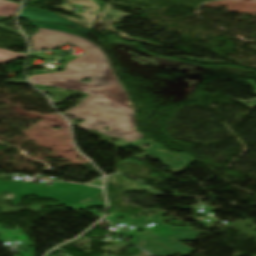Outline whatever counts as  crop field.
Listing matches in <instances>:
<instances>
[{
  "label": "crop field",
  "mask_w": 256,
  "mask_h": 256,
  "mask_svg": "<svg viewBox=\"0 0 256 256\" xmlns=\"http://www.w3.org/2000/svg\"><path fill=\"white\" fill-rule=\"evenodd\" d=\"M31 56L37 57V58H41L44 60H48V59H53L55 57H52L46 53H31Z\"/></svg>",
  "instance_id": "d1516ede"
},
{
  "label": "crop field",
  "mask_w": 256,
  "mask_h": 256,
  "mask_svg": "<svg viewBox=\"0 0 256 256\" xmlns=\"http://www.w3.org/2000/svg\"><path fill=\"white\" fill-rule=\"evenodd\" d=\"M30 23L39 29V32L31 37L34 51H41L43 48L52 50L68 42L88 52L79 58L71 56L61 59L67 62L66 67L62 68L63 72H34V76L29 78L32 84L89 94L79 106L65 114L86 120L77 125L83 129H96L102 134L121 138L115 143H110L118 148L144 137L135 131V114L127 91L125 92L116 78L106 54L93 40L90 31L34 21ZM87 78H90L91 82H80L81 79ZM104 127L110 128L111 131L103 130Z\"/></svg>",
  "instance_id": "8a807250"
},
{
  "label": "crop field",
  "mask_w": 256,
  "mask_h": 256,
  "mask_svg": "<svg viewBox=\"0 0 256 256\" xmlns=\"http://www.w3.org/2000/svg\"><path fill=\"white\" fill-rule=\"evenodd\" d=\"M239 80H243V81H245L244 79H239ZM245 82H246L247 84L252 85V86H253V88H254V89H255V91H256V84H255V82H254V81H252V80H248V81H245ZM255 94H256V92H255ZM235 100H237V101H239V102H241V103H243V104H245V105H247V106H249V107H251V108L256 107V99L249 100V101L238 100V99H235ZM247 102H249V104H247Z\"/></svg>",
  "instance_id": "28ad6ade"
},
{
  "label": "crop field",
  "mask_w": 256,
  "mask_h": 256,
  "mask_svg": "<svg viewBox=\"0 0 256 256\" xmlns=\"http://www.w3.org/2000/svg\"><path fill=\"white\" fill-rule=\"evenodd\" d=\"M13 192L15 199L13 206H18L21 199L28 195H35L39 198L56 199L66 207L71 206L101 190L91 186L54 183L50 188L37 186L31 183H21L16 180L7 181L6 185L0 190Z\"/></svg>",
  "instance_id": "ac0d7876"
},
{
  "label": "crop field",
  "mask_w": 256,
  "mask_h": 256,
  "mask_svg": "<svg viewBox=\"0 0 256 256\" xmlns=\"http://www.w3.org/2000/svg\"><path fill=\"white\" fill-rule=\"evenodd\" d=\"M148 144H152V145L145 149L144 146ZM131 147L138 148L142 151L147 152L146 154L136 155L133 157L143 160L147 155L155 156L159 161L164 163L171 170L177 171V172L185 170L188 166H190L192 163L195 162L186 156L170 154L169 152L158 147L156 144H154L148 139L136 145H133ZM178 160H181V162H178Z\"/></svg>",
  "instance_id": "34b2d1b8"
},
{
  "label": "crop field",
  "mask_w": 256,
  "mask_h": 256,
  "mask_svg": "<svg viewBox=\"0 0 256 256\" xmlns=\"http://www.w3.org/2000/svg\"><path fill=\"white\" fill-rule=\"evenodd\" d=\"M19 4L0 0V16H15Z\"/></svg>",
  "instance_id": "e52e79f7"
},
{
  "label": "crop field",
  "mask_w": 256,
  "mask_h": 256,
  "mask_svg": "<svg viewBox=\"0 0 256 256\" xmlns=\"http://www.w3.org/2000/svg\"><path fill=\"white\" fill-rule=\"evenodd\" d=\"M20 57H26V54L13 53L9 51L0 50V64L5 63Z\"/></svg>",
  "instance_id": "5a996713"
},
{
  "label": "crop field",
  "mask_w": 256,
  "mask_h": 256,
  "mask_svg": "<svg viewBox=\"0 0 256 256\" xmlns=\"http://www.w3.org/2000/svg\"><path fill=\"white\" fill-rule=\"evenodd\" d=\"M20 17L78 27L77 25H75L67 20L62 19V18L52 14L49 11L35 10L32 8H28V7L24 8Z\"/></svg>",
  "instance_id": "f4fd0767"
},
{
  "label": "crop field",
  "mask_w": 256,
  "mask_h": 256,
  "mask_svg": "<svg viewBox=\"0 0 256 256\" xmlns=\"http://www.w3.org/2000/svg\"><path fill=\"white\" fill-rule=\"evenodd\" d=\"M6 181H0V189L5 185Z\"/></svg>",
  "instance_id": "d9b57169"
},
{
  "label": "crop field",
  "mask_w": 256,
  "mask_h": 256,
  "mask_svg": "<svg viewBox=\"0 0 256 256\" xmlns=\"http://www.w3.org/2000/svg\"><path fill=\"white\" fill-rule=\"evenodd\" d=\"M89 13L90 12L85 11L82 14H77V16L85 17L84 19H81V20L74 19L72 17L61 15V14H57V13H55V14L65 18V19H67V20H69V21H71V22H73V23H75V24H77V25H79V26H81L83 28H92V25H93V23H94V21H95V19H96L98 14H96V13L89 14ZM87 19H89V20H87ZM87 23L89 25H87Z\"/></svg>",
  "instance_id": "dd49c442"
},
{
  "label": "crop field",
  "mask_w": 256,
  "mask_h": 256,
  "mask_svg": "<svg viewBox=\"0 0 256 256\" xmlns=\"http://www.w3.org/2000/svg\"><path fill=\"white\" fill-rule=\"evenodd\" d=\"M174 58L184 59V60H188V61H192V62H196V61H194V59H197L198 60L197 63H224V64H232L230 62L213 61V60H206V59L193 58V57H174Z\"/></svg>",
  "instance_id": "3316defc"
},
{
  "label": "crop field",
  "mask_w": 256,
  "mask_h": 256,
  "mask_svg": "<svg viewBox=\"0 0 256 256\" xmlns=\"http://www.w3.org/2000/svg\"><path fill=\"white\" fill-rule=\"evenodd\" d=\"M5 19H9V18H0V20H5ZM0 27H1V28H4V29H7V30H9V31L15 32V31L10 30V29H8V28H5V27H3V26H0Z\"/></svg>",
  "instance_id": "5142ce71"
},
{
  "label": "crop field",
  "mask_w": 256,
  "mask_h": 256,
  "mask_svg": "<svg viewBox=\"0 0 256 256\" xmlns=\"http://www.w3.org/2000/svg\"><path fill=\"white\" fill-rule=\"evenodd\" d=\"M55 9H60V10H65L70 12L71 10H73V8L69 7V6H53Z\"/></svg>",
  "instance_id": "cbeb9de0"
},
{
  "label": "crop field",
  "mask_w": 256,
  "mask_h": 256,
  "mask_svg": "<svg viewBox=\"0 0 256 256\" xmlns=\"http://www.w3.org/2000/svg\"><path fill=\"white\" fill-rule=\"evenodd\" d=\"M6 83H15V84H28L27 80H9Z\"/></svg>",
  "instance_id": "22f410ed"
},
{
  "label": "crop field",
  "mask_w": 256,
  "mask_h": 256,
  "mask_svg": "<svg viewBox=\"0 0 256 256\" xmlns=\"http://www.w3.org/2000/svg\"><path fill=\"white\" fill-rule=\"evenodd\" d=\"M111 8L112 7L104 6V10H103L96 26H95L96 33H102L101 32L102 29H108V30H111V31L119 34L124 39L132 40V41H138V42H142V43L157 46V47H162V46H158V45H155V44L148 43V42L143 41V40L131 38V37L127 36L126 34L122 33V32L114 30L115 27L111 26V25L118 22V19L125 18V17H130V16H133V15L113 11V10H111Z\"/></svg>",
  "instance_id": "412701ff"
},
{
  "label": "crop field",
  "mask_w": 256,
  "mask_h": 256,
  "mask_svg": "<svg viewBox=\"0 0 256 256\" xmlns=\"http://www.w3.org/2000/svg\"><path fill=\"white\" fill-rule=\"evenodd\" d=\"M68 4H80L83 7L88 8V11L99 13L100 6L96 4L93 0H67Z\"/></svg>",
  "instance_id": "d8731c3e"
}]
</instances>
